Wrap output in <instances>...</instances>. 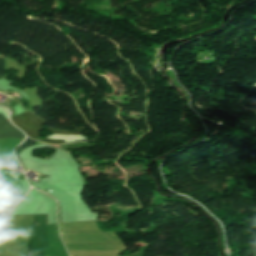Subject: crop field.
Here are the masks:
<instances>
[{
	"label": "crop field",
	"mask_w": 256,
	"mask_h": 256,
	"mask_svg": "<svg viewBox=\"0 0 256 256\" xmlns=\"http://www.w3.org/2000/svg\"><path fill=\"white\" fill-rule=\"evenodd\" d=\"M13 123L21 130H23L28 137L48 143V144H61L64 141L60 140H50V139H42L39 137L38 131L45 129L43 128V124L45 123V120L27 112L15 117L11 118ZM49 131L53 133H58V134H79L78 132H70L68 130H62V129H54V128H48Z\"/></svg>",
	"instance_id": "crop-field-1"
},
{
	"label": "crop field",
	"mask_w": 256,
	"mask_h": 256,
	"mask_svg": "<svg viewBox=\"0 0 256 256\" xmlns=\"http://www.w3.org/2000/svg\"><path fill=\"white\" fill-rule=\"evenodd\" d=\"M18 185L13 184L6 191H4L0 195V205L4 202V200L16 189ZM25 195V192L22 186H18V188L5 200V202L0 206V213H6L9 209L15 205L20 198Z\"/></svg>",
	"instance_id": "crop-field-2"
},
{
	"label": "crop field",
	"mask_w": 256,
	"mask_h": 256,
	"mask_svg": "<svg viewBox=\"0 0 256 256\" xmlns=\"http://www.w3.org/2000/svg\"><path fill=\"white\" fill-rule=\"evenodd\" d=\"M1 138H22V133L17 131L0 113V139Z\"/></svg>",
	"instance_id": "crop-field-3"
},
{
	"label": "crop field",
	"mask_w": 256,
	"mask_h": 256,
	"mask_svg": "<svg viewBox=\"0 0 256 256\" xmlns=\"http://www.w3.org/2000/svg\"><path fill=\"white\" fill-rule=\"evenodd\" d=\"M34 142H35V141H33V140L27 138V139L23 142V144L20 146L19 149L22 150V149H24L25 147H27V146H29V145H33Z\"/></svg>",
	"instance_id": "crop-field-4"
},
{
	"label": "crop field",
	"mask_w": 256,
	"mask_h": 256,
	"mask_svg": "<svg viewBox=\"0 0 256 256\" xmlns=\"http://www.w3.org/2000/svg\"><path fill=\"white\" fill-rule=\"evenodd\" d=\"M3 70H4V60L2 57L0 58V77H3Z\"/></svg>",
	"instance_id": "crop-field-5"
},
{
	"label": "crop field",
	"mask_w": 256,
	"mask_h": 256,
	"mask_svg": "<svg viewBox=\"0 0 256 256\" xmlns=\"http://www.w3.org/2000/svg\"><path fill=\"white\" fill-rule=\"evenodd\" d=\"M2 218H3V216H2V215H0V223H1Z\"/></svg>",
	"instance_id": "crop-field-6"
}]
</instances>
